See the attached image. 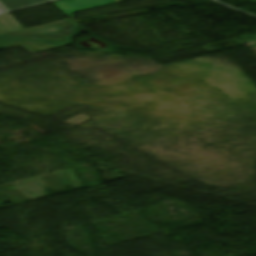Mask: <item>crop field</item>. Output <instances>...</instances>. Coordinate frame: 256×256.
<instances>
[{
  "mask_svg": "<svg viewBox=\"0 0 256 256\" xmlns=\"http://www.w3.org/2000/svg\"><path fill=\"white\" fill-rule=\"evenodd\" d=\"M78 24L68 19L48 25H43L0 37H27V38H47V39H71Z\"/></svg>",
  "mask_w": 256,
  "mask_h": 256,
  "instance_id": "crop-field-1",
  "label": "crop field"
},
{
  "mask_svg": "<svg viewBox=\"0 0 256 256\" xmlns=\"http://www.w3.org/2000/svg\"><path fill=\"white\" fill-rule=\"evenodd\" d=\"M70 44V41L32 40V39H0V49L21 46L26 51L36 49L39 52L51 50Z\"/></svg>",
  "mask_w": 256,
  "mask_h": 256,
  "instance_id": "crop-field-2",
  "label": "crop field"
},
{
  "mask_svg": "<svg viewBox=\"0 0 256 256\" xmlns=\"http://www.w3.org/2000/svg\"><path fill=\"white\" fill-rule=\"evenodd\" d=\"M54 0H0V7L6 12H12Z\"/></svg>",
  "mask_w": 256,
  "mask_h": 256,
  "instance_id": "crop-field-4",
  "label": "crop field"
},
{
  "mask_svg": "<svg viewBox=\"0 0 256 256\" xmlns=\"http://www.w3.org/2000/svg\"><path fill=\"white\" fill-rule=\"evenodd\" d=\"M5 14V12L0 8V15Z\"/></svg>",
  "mask_w": 256,
  "mask_h": 256,
  "instance_id": "crop-field-6",
  "label": "crop field"
},
{
  "mask_svg": "<svg viewBox=\"0 0 256 256\" xmlns=\"http://www.w3.org/2000/svg\"><path fill=\"white\" fill-rule=\"evenodd\" d=\"M122 0H64L54 3L67 14L75 13L78 11L120 2Z\"/></svg>",
  "mask_w": 256,
  "mask_h": 256,
  "instance_id": "crop-field-3",
  "label": "crop field"
},
{
  "mask_svg": "<svg viewBox=\"0 0 256 256\" xmlns=\"http://www.w3.org/2000/svg\"><path fill=\"white\" fill-rule=\"evenodd\" d=\"M22 29L20 24L9 13L0 16V35Z\"/></svg>",
  "mask_w": 256,
  "mask_h": 256,
  "instance_id": "crop-field-5",
  "label": "crop field"
}]
</instances>
